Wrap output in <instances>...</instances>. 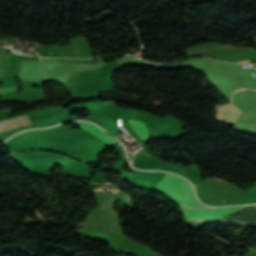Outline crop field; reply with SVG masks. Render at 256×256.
I'll return each instance as SVG.
<instances>
[{
    "label": "crop field",
    "instance_id": "crop-field-1",
    "mask_svg": "<svg viewBox=\"0 0 256 256\" xmlns=\"http://www.w3.org/2000/svg\"><path fill=\"white\" fill-rule=\"evenodd\" d=\"M157 187L166 191L180 204H184L194 208H209L198 202L194 196L192 186L184 179L166 173Z\"/></svg>",
    "mask_w": 256,
    "mask_h": 256
},
{
    "label": "crop field",
    "instance_id": "crop-field-2",
    "mask_svg": "<svg viewBox=\"0 0 256 256\" xmlns=\"http://www.w3.org/2000/svg\"><path fill=\"white\" fill-rule=\"evenodd\" d=\"M247 206L216 208L212 210H193L184 207V212L190 220H215L221 216L240 210ZM197 223H209L211 221H195Z\"/></svg>",
    "mask_w": 256,
    "mask_h": 256
},
{
    "label": "crop field",
    "instance_id": "crop-field-3",
    "mask_svg": "<svg viewBox=\"0 0 256 256\" xmlns=\"http://www.w3.org/2000/svg\"><path fill=\"white\" fill-rule=\"evenodd\" d=\"M224 107V106H222ZM219 107L217 109V112L222 108ZM242 111L239 110L235 105H233L232 103L229 104L227 107L221 109L218 113H217V117L215 119V121H220V122H227V123H232L234 124L238 115L241 113Z\"/></svg>",
    "mask_w": 256,
    "mask_h": 256
},
{
    "label": "crop field",
    "instance_id": "crop-field-4",
    "mask_svg": "<svg viewBox=\"0 0 256 256\" xmlns=\"http://www.w3.org/2000/svg\"><path fill=\"white\" fill-rule=\"evenodd\" d=\"M76 125L99 136L100 138H102L103 140L107 141L110 144L113 143L114 141H116L114 138H112L106 132H104L103 130H101L100 128H98L92 124L80 122V123H77Z\"/></svg>",
    "mask_w": 256,
    "mask_h": 256
},
{
    "label": "crop field",
    "instance_id": "crop-field-5",
    "mask_svg": "<svg viewBox=\"0 0 256 256\" xmlns=\"http://www.w3.org/2000/svg\"><path fill=\"white\" fill-rule=\"evenodd\" d=\"M26 126L22 116L4 120L0 122V132L7 131L10 129Z\"/></svg>",
    "mask_w": 256,
    "mask_h": 256
},
{
    "label": "crop field",
    "instance_id": "crop-field-6",
    "mask_svg": "<svg viewBox=\"0 0 256 256\" xmlns=\"http://www.w3.org/2000/svg\"><path fill=\"white\" fill-rule=\"evenodd\" d=\"M133 129L136 131V133L144 140L148 141L149 139V132L145 128V126L142 124V122H134L130 121Z\"/></svg>",
    "mask_w": 256,
    "mask_h": 256
},
{
    "label": "crop field",
    "instance_id": "crop-field-7",
    "mask_svg": "<svg viewBox=\"0 0 256 256\" xmlns=\"http://www.w3.org/2000/svg\"><path fill=\"white\" fill-rule=\"evenodd\" d=\"M239 63H249V61H248V60H246V61H242V62H239Z\"/></svg>",
    "mask_w": 256,
    "mask_h": 256
}]
</instances>
